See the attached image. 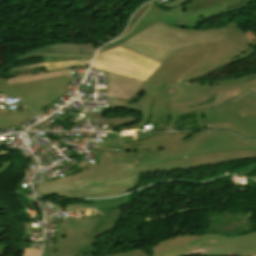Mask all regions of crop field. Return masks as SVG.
Returning <instances> with one entry per match:
<instances>
[{
    "label": "crop field",
    "instance_id": "crop-field-21",
    "mask_svg": "<svg viewBox=\"0 0 256 256\" xmlns=\"http://www.w3.org/2000/svg\"><path fill=\"white\" fill-rule=\"evenodd\" d=\"M11 164H12L11 161H9V162H7V163H1V164H0V174H1L3 171L7 170Z\"/></svg>",
    "mask_w": 256,
    "mask_h": 256
},
{
    "label": "crop field",
    "instance_id": "crop-field-23",
    "mask_svg": "<svg viewBox=\"0 0 256 256\" xmlns=\"http://www.w3.org/2000/svg\"><path fill=\"white\" fill-rule=\"evenodd\" d=\"M252 256H256V255H252Z\"/></svg>",
    "mask_w": 256,
    "mask_h": 256
},
{
    "label": "crop field",
    "instance_id": "crop-field-8",
    "mask_svg": "<svg viewBox=\"0 0 256 256\" xmlns=\"http://www.w3.org/2000/svg\"><path fill=\"white\" fill-rule=\"evenodd\" d=\"M158 65L157 62L119 47L97 55L93 67L145 81Z\"/></svg>",
    "mask_w": 256,
    "mask_h": 256
},
{
    "label": "crop field",
    "instance_id": "crop-field-6",
    "mask_svg": "<svg viewBox=\"0 0 256 256\" xmlns=\"http://www.w3.org/2000/svg\"><path fill=\"white\" fill-rule=\"evenodd\" d=\"M71 78L70 76H63L7 86L6 78L0 77V93L11 99L18 98L20 105L28 106L38 112L63 94ZM36 115L35 112L26 108L7 113L0 106V129L10 127L11 124L12 126L20 125Z\"/></svg>",
    "mask_w": 256,
    "mask_h": 256
},
{
    "label": "crop field",
    "instance_id": "crop-field-9",
    "mask_svg": "<svg viewBox=\"0 0 256 256\" xmlns=\"http://www.w3.org/2000/svg\"><path fill=\"white\" fill-rule=\"evenodd\" d=\"M184 3H186L185 0H173L169 3L162 5L170 10L168 12H165L152 4L147 12L143 15V17L125 37L106 45L101 49L100 52L119 45L123 41L140 33L157 21L168 24L170 26L197 29L198 23L185 17Z\"/></svg>",
    "mask_w": 256,
    "mask_h": 256
},
{
    "label": "crop field",
    "instance_id": "crop-field-22",
    "mask_svg": "<svg viewBox=\"0 0 256 256\" xmlns=\"http://www.w3.org/2000/svg\"><path fill=\"white\" fill-rule=\"evenodd\" d=\"M87 256H92V255H87Z\"/></svg>",
    "mask_w": 256,
    "mask_h": 256
},
{
    "label": "crop field",
    "instance_id": "crop-field-16",
    "mask_svg": "<svg viewBox=\"0 0 256 256\" xmlns=\"http://www.w3.org/2000/svg\"><path fill=\"white\" fill-rule=\"evenodd\" d=\"M90 61H75V62H64V63H45L46 70L61 68V67H72L76 65L86 64Z\"/></svg>",
    "mask_w": 256,
    "mask_h": 256
},
{
    "label": "crop field",
    "instance_id": "crop-field-3",
    "mask_svg": "<svg viewBox=\"0 0 256 256\" xmlns=\"http://www.w3.org/2000/svg\"><path fill=\"white\" fill-rule=\"evenodd\" d=\"M99 166L38 184L39 193L49 197H102L121 195L135 189L139 175L118 180L133 164L113 163L112 153L99 151ZM96 171V173H95Z\"/></svg>",
    "mask_w": 256,
    "mask_h": 256
},
{
    "label": "crop field",
    "instance_id": "crop-field-20",
    "mask_svg": "<svg viewBox=\"0 0 256 256\" xmlns=\"http://www.w3.org/2000/svg\"><path fill=\"white\" fill-rule=\"evenodd\" d=\"M36 56H73V57H93L90 55H35V56H30V57H36ZM29 58V57H26ZM25 59V58H23Z\"/></svg>",
    "mask_w": 256,
    "mask_h": 256
},
{
    "label": "crop field",
    "instance_id": "crop-field-5",
    "mask_svg": "<svg viewBox=\"0 0 256 256\" xmlns=\"http://www.w3.org/2000/svg\"><path fill=\"white\" fill-rule=\"evenodd\" d=\"M153 256H249L256 254V233L225 238L222 235L174 237L153 247ZM112 256H148L142 250Z\"/></svg>",
    "mask_w": 256,
    "mask_h": 256
},
{
    "label": "crop field",
    "instance_id": "crop-field-15",
    "mask_svg": "<svg viewBox=\"0 0 256 256\" xmlns=\"http://www.w3.org/2000/svg\"><path fill=\"white\" fill-rule=\"evenodd\" d=\"M97 49L90 44H64L48 46L34 52L23 55L19 58L34 54H90L94 55Z\"/></svg>",
    "mask_w": 256,
    "mask_h": 256
},
{
    "label": "crop field",
    "instance_id": "crop-field-18",
    "mask_svg": "<svg viewBox=\"0 0 256 256\" xmlns=\"http://www.w3.org/2000/svg\"><path fill=\"white\" fill-rule=\"evenodd\" d=\"M43 70H45V68L41 67V68H36V69H30V70H24V71L8 73V76L24 74V73H31V72H37V71H43Z\"/></svg>",
    "mask_w": 256,
    "mask_h": 256
},
{
    "label": "crop field",
    "instance_id": "crop-field-4",
    "mask_svg": "<svg viewBox=\"0 0 256 256\" xmlns=\"http://www.w3.org/2000/svg\"><path fill=\"white\" fill-rule=\"evenodd\" d=\"M222 38H226V26L209 30H192L169 27L157 22L119 46L162 63L172 52L180 48Z\"/></svg>",
    "mask_w": 256,
    "mask_h": 256
},
{
    "label": "crop field",
    "instance_id": "crop-field-10",
    "mask_svg": "<svg viewBox=\"0 0 256 256\" xmlns=\"http://www.w3.org/2000/svg\"><path fill=\"white\" fill-rule=\"evenodd\" d=\"M121 214V207L114 208L109 222L94 234L91 230L84 232H66L61 243L64 256H80L87 252L94 251V244L97 237L106 235L113 230L118 224Z\"/></svg>",
    "mask_w": 256,
    "mask_h": 256
},
{
    "label": "crop field",
    "instance_id": "crop-field-19",
    "mask_svg": "<svg viewBox=\"0 0 256 256\" xmlns=\"http://www.w3.org/2000/svg\"><path fill=\"white\" fill-rule=\"evenodd\" d=\"M40 249L26 248L23 256H38Z\"/></svg>",
    "mask_w": 256,
    "mask_h": 256
},
{
    "label": "crop field",
    "instance_id": "crop-field-12",
    "mask_svg": "<svg viewBox=\"0 0 256 256\" xmlns=\"http://www.w3.org/2000/svg\"><path fill=\"white\" fill-rule=\"evenodd\" d=\"M210 225L212 229L208 231V234H211L213 230L226 234H238L244 229L255 230L251 213L211 218Z\"/></svg>",
    "mask_w": 256,
    "mask_h": 256
},
{
    "label": "crop field",
    "instance_id": "crop-field-2",
    "mask_svg": "<svg viewBox=\"0 0 256 256\" xmlns=\"http://www.w3.org/2000/svg\"><path fill=\"white\" fill-rule=\"evenodd\" d=\"M97 146L122 148V154L113 153L114 162L135 163L121 178L256 158V141L228 132H136L130 138H109Z\"/></svg>",
    "mask_w": 256,
    "mask_h": 256
},
{
    "label": "crop field",
    "instance_id": "crop-field-14",
    "mask_svg": "<svg viewBox=\"0 0 256 256\" xmlns=\"http://www.w3.org/2000/svg\"><path fill=\"white\" fill-rule=\"evenodd\" d=\"M142 83L143 81L109 73L107 97L130 99Z\"/></svg>",
    "mask_w": 256,
    "mask_h": 256
},
{
    "label": "crop field",
    "instance_id": "crop-field-17",
    "mask_svg": "<svg viewBox=\"0 0 256 256\" xmlns=\"http://www.w3.org/2000/svg\"><path fill=\"white\" fill-rule=\"evenodd\" d=\"M151 3L147 4L146 6H144L139 12L136 13L135 17L132 19L131 23H130V26L127 30V32L124 34L126 35L130 30L131 28L134 26L135 22L141 17V15L144 13V11L147 9V7L150 5ZM149 8V7H148ZM123 35V36H124ZM121 36V37H123ZM120 37V38H121Z\"/></svg>",
    "mask_w": 256,
    "mask_h": 256
},
{
    "label": "crop field",
    "instance_id": "crop-field-1",
    "mask_svg": "<svg viewBox=\"0 0 256 256\" xmlns=\"http://www.w3.org/2000/svg\"><path fill=\"white\" fill-rule=\"evenodd\" d=\"M227 37L171 54L129 101L142 105L143 118L108 124V129L141 128L148 122L157 125L155 130L172 129L184 114L223 104L255 88L256 73L220 82L189 84L254 53L256 41L253 43L235 22L227 25Z\"/></svg>",
    "mask_w": 256,
    "mask_h": 256
},
{
    "label": "crop field",
    "instance_id": "crop-field-7",
    "mask_svg": "<svg viewBox=\"0 0 256 256\" xmlns=\"http://www.w3.org/2000/svg\"><path fill=\"white\" fill-rule=\"evenodd\" d=\"M196 117L199 129L220 128L256 138V91L224 107L196 114Z\"/></svg>",
    "mask_w": 256,
    "mask_h": 256
},
{
    "label": "crop field",
    "instance_id": "crop-field-11",
    "mask_svg": "<svg viewBox=\"0 0 256 256\" xmlns=\"http://www.w3.org/2000/svg\"><path fill=\"white\" fill-rule=\"evenodd\" d=\"M256 0H196L185 4V14L199 23L221 13L250 6Z\"/></svg>",
    "mask_w": 256,
    "mask_h": 256
},
{
    "label": "crop field",
    "instance_id": "crop-field-13",
    "mask_svg": "<svg viewBox=\"0 0 256 256\" xmlns=\"http://www.w3.org/2000/svg\"><path fill=\"white\" fill-rule=\"evenodd\" d=\"M99 217L63 220L61 231L54 247H44L42 256H63L60 242L66 231H83L94 227Z\"/></svg>",
    "mask_w": 256,
    "mask_h": 256
}]
</instances>
